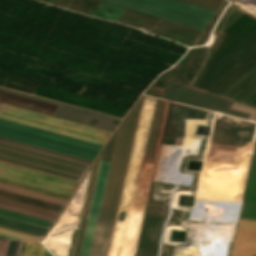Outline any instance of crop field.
<instances>
[{
	"mask_svg": "<svg viewBox=\"0 0 256 256\" xmlns=\"http://www.w3.org/2000/svg\"><path fill=\"white\" fill-rule=\"evenodd\" d=\"M111 162L101 161L79 256H90Z\"/></svg>",
	"mask_w": 256,
	"mask_h": 256,
	"instance_id": "crop-field-9",
	"label": "crop field"
},
{
	"mask_svg": "<svg viewBox=\"0 0 256 256\" xmlns=\"http://www.w3.org/2000/svg\"><path fill=\"white\" fill-rule=\"evenodd\" d=\"M217 46L195 88L256 106V18L231 6Z\"/></svg>",
	"mask_w": 256,
	"mask_h": 256,
	"instance_id": "crop-field-1",
	"label": "crop field"
},
{
	"mask_svg": "<svg viewBox=\"0 0 256 256\" xmlns=\"http://www.w3.org/2000/svg\"><path fill=\"white\" fill-rule=\"evenodd\" d=\"M0 207L54 221V218L38 215V214H35V213H31V212L23 211V210H20V209L4 206V205H1V204H0Z\"/></svg>",
	"mask_w": 256,
	"mask_h": 256,
	"instance_id": "crop-field-19",
	"label": "crop field"
},
{
	"mask_svg": "<svg viewBox=\"0 0 256 256\" xmlns=\"http://www.w3.org/2000/svg\"><path fill=\"white\" fill-rule=\"evenodd\" d=\"M141 97L120 126L91 256H105L106 253Z\"/></svg>",
	"mask_w": 256,
	"mask_h": 256,
	"instance_id": "crop-field-3",
	"label": "crop field"
},
{
	"mask_svg": "<svg viewBox=\"0 0 256 256\" xmlns=\"http://www.w3.org/2000/svg\"><path fill=\"white\" fill-rule=\"evenodd\" d=\"M8 241H0V256H5Z\"/></svg>",
	"mask_w": 256,
	"mask_h": 256,
	"instance_id": "crop-field-21",
	"label": "crop field"
},
{
	"mask_svg": "<svg viewBox=\"0 0 256 256\" xmlns=\"http://www.w3.org/2000/svg\"><path fill=\"white\" fill-rule=\"evenodd\" d=\"M53 117L69 120L72 122H76V123H80L88 126H92L89 124L91 118L97 119L99 121L92 127L111 131V132H113V130L116 127V125L112 124L111 121L113 119L120 121V119L104 116L101 114L81 110L78 108H74V107H70L62 104H60V106L54 113Z\"/></svg>",
	"mask_w": 256,
	"mask_h": 256,
	"instance_id": "crop-field-10",
	"label": "crop field"
},
{
	"mask_svg": "<svg viewBox=\"0 0 256 256\" xmlns=\"http://www.w3.org/2000/svg\"><path fill=\"white\" fill-rule=\"evenodd\" d=\"M0 140H2V141H6V142H9V143H13V144H17V145H21V146L28 147V148H32V149H36V150H40V151H43V152H47V153H51V154H55V155H58V156H62V157H66V158H70V159H74V160H77V161H81V162H85V163H89V164H91V161H87V160H83V159H79V158L71 157V156H68V155H64V154H60V153H56V152H52V151H49V150H45V149H41V148H37V147H33V146H29V145H26V144H22V143H18V142L10 141V140L3 139V138H0Z\"/></svg>",
	"mask_w": 256,
	"mask_h": 256,
	"instance_id": "crop-field-18",
	"label": "crop field"
},
{
	"mask_svg": "<svg viewBox=\"0 0 256 256\" xmlns=\"http://www.w3.org/2000/svg\"><path fill=\"white\" fill-rule=\"evenodd\" d=\"M24 243L25 241L23 242L20 256H22ZM44 250L45 247L41 242L26 241L23 256H43Z\"/></svg>",
	"mask_w": 256,
	"mask_h": 256,
	"instance_id": "crop-field-14",
	"label": "crop field"
},
{
	"mask_svg": "<svg viewBox=\"0 0 256 256\" xmlns=\"http://www.w3.org/2000/svg\"><path fill=\"white\" fill-rule=\"evenodd\" d=\"M20 241H17L14 256H17Z\"/></svg>",
	"mask_w": 256,
	"mask_h": 256,
	"instance_id": "crop-field-23",
	"label": "crop field"
},
{
	"mask_svg": "<svg viewBox=\"0 0 256 256\" xmlns=\"http://www.w3.org/2000/svg\"><path fill=\"white\" fill-rule=\"evenodd\" d=\"M44 256H53V255L46 249Z\"/></svg>",
	"mask_w": 256,
	"mask_h": 256,
	"instance_id": "crop-field-24",
	"label": "crop field"
},
{
	"mask_svg": "<svg viewBox=\"0 0 256 256\" xmlns=\"http://www.w3.org/2000/svg\"><path fill=\"white\" fill-rule=\"evenodd\" d=\"M0 227L10 230L18 231L21 233L29 234L32 236L40 237L48 230V226L24 221L21 219L5 216L0 214Z\"/></svg>",
	"mask_w": 256,
	"mask_h": 256,
	"instance_id": "crop-field-11",
	"label": "crop field"
},
{
	"mask_svg": "<svg viewBox=\"0 0 256 256\" xmlns=\"http://www.w3.org/2000/svg\"><path fill=\"white\" fill-rule=\"evenodd\" d=\"M16 241H9L6 256H13Z\"/></svg>",
	"mask_w": 256,
	"mask_h": 256,
	"instance_id": "crop-field-20",
	"label": "crop field"
},
{
	"mask_svg": "<svg viewBox=\"0 0 256 256\" xmlns=\"http://www.w3.org/2000/svg\"><path fill=\"white\" fill-rule=\"evenodd\" d=\"M0 161L79 182L89 164L0 141Z\"/></svg>",
	"mask_w": 256,
	"mask_h": 256,
	"instance_id": "crop-field-4",
	"label": "crop field"
},
{
	"mask_svg": "<svg viewBox=\"0 0 256 256\" xmlns=\"http://www.w3.org/2000/svg\"><path fill=\"white\" fill-rule=\"evenodd\" d=\"M0 101L53 114L57 106L0 91ZM0 118L49 132L104 145L111 132L2 104ZM0 120V137L93 161L102 146Z\"/></svg>",
	"mask_w": 256,
	"mask_h": 256,
	"instance_id": "crop-field-2",
	"label": "crop field"
},
{
	"mask_svg": "<svg viewBox=\"0 0 256 256\" xmlns=\"http://www.w3.org/2000/svg\"><path fill=\"white\" fill-rule=\"evenodd\" d=\"M240 215L256 218V148ZM240 216L231 256H255L256 220Z\"/></svg>",
	"mask_w": 256,
	"mask_h": 256,
	"instance_id": "crop-field-7",
	"label": "crop field"
},
{
	"mask_svg": "<svg viewBox=\"0 0 256 256\" xmlns=\"http://www.w3.org/2000/svg\"><path fill=\"white\" fill-rule=\"evenodd\" d=\"M0 203L8 205V206H12V207L20 208V209H23V210L39 213V214H42V215L54 217V218H56L58 216V213L46 211V210H43V209L31 207V206H28V205L16 203V202L5 200V199H1V198H0Z\"/></svg>",
	"mask_w": 256,
	"mask_h": 256,
	"instance_id": "crop-field-15",
	"label": "crop field"
},
{
	"mask_svg": "<svg viewBox=\"0 0 256 256\" xmlns=\"http://www.w3.org/2000/svg\"><path fill=\"white\" fill-rule=\"evenodd\" d=\"M203 30L214 11L178 0H107Z\"/></svg>",
	"mask_w": 256,
	"mask_h": 256,
	"instance_id": "crop-field-5",
	"label": "crop field"
},
{
	"mask_svg": "<svg viewBox=\"0 0 256 256\" xmlns=\"http://www.w3.org/2000/svg\"><path fill=\"white\" fill-rule=\"evenodd\" d=\"M0 182L68 200L77 182L0 162Z\"/></svg>",
	"mask_w": 256,
	"mask_h": 256,
	"instance_id": "crop-field-6",
	"label": "crop field"
},
{
	"mask_svg": "<svg viewBox=\"0 0 256 256\" xmlns=\"http://www.w3.org/2000/svg\"><path fill=\"white\" fill-rule=\"evenodd\" d=\"M93 168H94V165H93ZM92 172H93V169H92ZM91 177H92V174H91ZM90 181H91V178H90ZM89 186H90V182H89ZM88 191H89V187H88ZM88 191H87V195H88ZM86 200H87V196H86ZM86 200H85V204H86ZM84 209H85V205H84ZM84 209H83V213H84ZM82 218H83V214H82ZM82 218H81V222H82ZM81 222H80V227H81ZM80 227H79V231H80ZM79 231H78V236H79ZM78 236H77V240H76V245H77V241H78ZM76 245H75L73 256L75 254Z\"/></svg>",
	"mask_w": 256,
	"mask_h": 256,
	"instance_id": "crop-field-22",
	"label": "crop field"
},
{
	"mask_svg": "<svg viewBox=\"0 0 256 256\" xmlns=\"http://www.w3.org/2000/svg\"><path fill=\"white\" fill-rule=\"evenodd\" d=\"M0 239H5V238H1V237H0Z\"/></svg>",
	"mask_w": 256,
	"mask_h": 256,
	"instance_id": "crop-field-25",
	"label": "crop field"
},
{
	"mask_svg": "<svg viewBox=\"0 0 256 256\" xmlns=\"http://www.w3.org/2000/svg\"><path fill=\"white\" fill-rule=\"evenodd\" d=\"M0 197L5 198V199H9V200H13V201H16V202L28 204V205H31V206L43 208V209H46V210L58 212V213H60V211L63 207L62 205L50 203V202H47V201L35 199V198H32V197L16 194V193L1 190V189H0Z\"/></svg>",
	"mask_w": 256,
	"mask_h": 256,
	"instance_id": "crop-field-12",
	"label": "crop field"
},
{
	"mask_svg": "<svg viewBox=\"0 0 256 256\" xmlns=\"http://www.w3.org/2000/svg\"><path fill=\"white\" fill-rule=\"evenodd\" d=\"M159 98L176 101L188 105H193L209 110H214L247 119L248 113L230 109L232 102L221 98L205 94L200 91L172 85L167 83V87L162 88Z\"/></svg>",
	"mask_w": 256,
	"mask_h": 256,
	"instance_id": "crop-field-8",
	"label": "crop field"
},
{
	"mask_svg": "<svg viewBox=\"0 0 256 256\" xmlns=\"http://www.w3.org/2000/svg\"><path fill=\"white\" fill-rule=\"evenodd\" d=\"M0 213L6 214V215H9V216H13V217H17V218H21V219H25V220H29V221H32V222L48 225V226H50L52 224V221L36 218V217H33V216L21 214V213H18V212H14V211L2 209V208H0Z\"/></svg>",
	"mask_w": 256,
	"mask_h": 256,
	"instance_id": "crop-field-16",
	"label": "crop field"
},
{
	"mask_svg": "<svg viewBox=\"0 0 256 256\" xmlns=\"http://www.w3.org/2000/svg\"><path fill=\"white\" fill-rule=\"evenodd\" d=\"M0 188L1 189H5V190H9V191H13V192H16V193L32 196V197H35V198L47 200V201H50V202L62 204V205H64L65 202H66V200H62V199L50 197V196H47V195H43V194L27 191V190H24V189L8 186V185L1 184V183H0Z\"/></svg>",
	"mask_w": 256,
	"mask_h": 256,
	"instance_id": "crop-field-13",
	"label": "crop field"
},
{
	"mask_svg": "<svg viewBox=\"0 0 256 256\" xmlns=\"http://www.w3.org/2000/svg\"><path fill=\"white\" fill-rule=\"evenodd\" d=\"M0 236L9 239H19V240H40V238L28 236L25 234L13 232L10 230L0 228Z\"/></svg>",
	"mask_w": 256,
	"mask_h": 256,
	"instance_id": "crop-field-17",
	"label": "crop field"
}]
</instances>
